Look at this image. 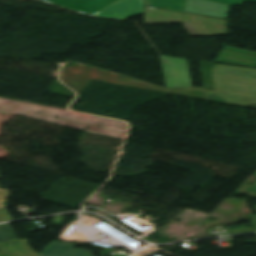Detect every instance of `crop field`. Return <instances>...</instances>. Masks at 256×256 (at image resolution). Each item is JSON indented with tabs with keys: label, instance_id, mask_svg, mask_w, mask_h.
<instances>
[{
	"label": "crop field",
	"instance_id": "12",
	"mask_svg": "<svg viewBox=\"0 0 256 256\" xmlns=\"http://www.w3.org/2000/svg\"><path fill=\"white\" fill-rule=\"evenodd\" d=\"M228 5H241L242 1L256 2V0H210Z\"/></svg>",
	"mask_w": 256,
	"mask_h": 256
},
{
	"label": "crop field",
	"instance_id": "11",
	"mask_svg": "<svg viewBox=\"0 0 256 256\" xmlns=\"http://www.w3.org/2000/svg\"><path fill=\"white\" fill-rule=\"evenodd\" d=\"M237 193L249 194V196H255L256 197V184H254V185L245 184L244 188H239L237 190ZM251 217H252V219H253V221L256 225V215H253Z\"/></svg>",
	"mask_w": 256,
	"mask_h": 256
},
{
	"label": "crop field",
	"instance_id": "6",
	"mask_svg": "<svg viewBox=\"0 0 256 256\" xmlns=\"http://www.w3.org/2000/svg\"><path fill=\"white\" fill-rule=\"evenodd\" d=\"M144 12V0H121L94 16L125 20Z\"/></svg>",
	"mask_w": 256,
	"mask_h": 256
},
{
	"label": "crop field",
	"instance_id": "5",
	"mask_svg": "<svg viewBox=\"0 0 256 256\" xmlns=\"http://www.w3.org/2000/svg\"><path fill=\"white\" fill-rule=\"evenodd\" d=\"M0 255L38 256L28 246L26 240H18L9 224L0 225Z\"/></svg>",
	"mask_w": 256,
	"mask_h": 256
},
{
	"label": "crop field",
	"instance_id": "3",
	"mask_svg": "<svg viewBox=\"0 0 256 256\" xmlns=\"http://www.w3.org/2000/svg\"><path fill=\"white\" fill-rule=\"evenodd\" d=\"M146 24L181 22L190 36L227 35V20L145 6Z\"/></svg>",
	"mask_w": 256,
	"mask_h": 256
},
{
	"label": "crop field",
	"instance_id": "10",
	"mask_svg": "<svg viewBox=\"0 0 256 256\" xmlns=\"http://www.w3.org/2000/svg\"><path fill=\"white\" fill-rule=\"evenodd\" d=\"M148 5L184 11L185 0H147Z\"/></svg>",
	"mask_w": 256,
	"mask_h": 256
},
{
	"label": "crop field",
	"instance_id": "9",
	"mask_svg": "<svg viewBox=\"0 0 256 256\" xmlns=\"http://www.w3.org/2000/svg\"><path fill=\"white\" fill-rule=\"evenodd\" d=\"M75 245L53 241L40 256H92L90 252L73 249Z\"/></svg>",
	"mask_w": 256,
	"mask_h": 256
},
{
	"label": "crop field",
	"instance_id": "1",
	"mask_svg": "<svg viewBox=\"0 0 256 256\" xmlns=\"http://www.w3.org/2000/svg\"><path fill=\"white\" fill-rule=\"evenodd\" d=\"M204 87L202 88H179V89H162L143 82H139L127 77H123L111 72H107L95 67H91L84 64L71 63L65 66L62 70V80L74 87L77 90H81L82 87L90 80H99L104 82H110L115 84L127 85L132 87H138L143 89H149L154 91L202 98L213 100L212 97L204 95L205 92H215L210 71L214 64L200 62Z\"/></svg>",
	"mask_w": 256,
	"mask_h": 256
},
{
	"label": "crop field",
	"instance_id": "13",
	"mask_svg": "<svg viewBox=\"0 0 256 256\" xmlns=\"http://www.w3.org/2000/svg\"><path fill=\"white\" fill-rule=\"evenodd\" d=\"M0 219L1 221L12 219L6 208L0 209Z\"/></svg>",
	"mask_w": 256,
	"mask_h": 256
},
{
	"label": "crop field",
	"instance_id": "7",
	"mask_svg": "<svg viewBox=\"0 0 256 256\" xmlns=\"http://www.w3.org/2000/svg\"><path fill=\"white\" fill-rule=\"evenodd\" d=\"M75 11L93 15L119 0H45Z\"/></svg>",
	"mask_w": 256,
	"mask_h": 256
},
{
	"label": "crop field",
	"instance_id": "2",
	"mask_svg": "<svg viewBox=\"0 0 256 256\" xmlns=\"http://www.w3.org/2000/svg\"><path fill=\"white\" fill-rule=\"evenodd\" d=\"M211 74L216 95L224 103L256 104V70L215 64Z\"/></svg>",
	"mask_w": 256,
	"mask_h": 256
},
{
	"label": "crop field",
	"instance_id": "8",
	"mask_svg": "<svg viewBox=\"0 0 256 256\" xmlns=\"http://www.w3.org/2000/svg\"><path fill=\"white\" fill-rule=\"evenodd\" d=\"M229 7L205 0H186L185 11L227 18Z\"/></svg>",
	"mask_w": 256,
	"mask_h": 256
},
{
	"label": "crop field",
	"instance_id": "4",
	"mask_svg": "<svg viewBox=\"0 0 256 256\" xmlns=\"http://www.w3.org/2000/svg\"><path fill=\"white\" fill-rule=\"evenodd\" d=\"M166 88L192 87L184 59L160 56Z\"/></svg>",
	"mask_w": 256,
	"mask_h": 256
}]
</instances>
